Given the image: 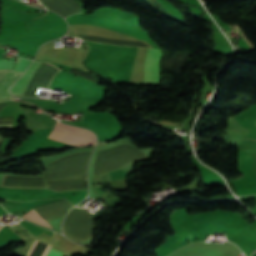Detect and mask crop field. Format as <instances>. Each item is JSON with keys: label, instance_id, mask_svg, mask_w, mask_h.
Segmentation results:
<instances>
[{"label": "crop field", "instance_id": "crop-field-1", "mask_svg": "<svg viewBox=\"0 0 256 256\" xmlns=\"http://www.w3.org/2000/svg\"><path fill=\"white\" fill-rule=\"evenodd\" d=\"M91 153L71 154L46 165L45 180L86 178V167Z\"/></svg>", "mask_w": 256, "mask_h": 256}, {"label": "crop field", "instance_id": "crop-field-2", "mask_svg": "<svg viewBox=\"0 0 256 256\" xmlns=\"http://www.w3.org/2000/svg\"><path fill=\"white\" fill-rule=\"evenodd\" d=\"M137 149V148H136ZM134 148L120 145L107 150L100 151L95 160L94 176L115 171L127 163L144 157L146 154Z\"/></svg>", "mask_w": 256, "mask_h": 256}, {"label": "crop field", "instance_id": "crop-field-3", "mask_svg": "<svg viewBox=\"0 0 256 256\" xmlns=\"http://www.w3.org/2000/svg\"><path fill=\"white\" fill-rule=\"evenodd\" d=\"M45 142L62 147L94 144V135L84 129L57 123Z\"/></svg>", "mask_w": 256, "mask_h": 256}, {"label": "crop field", "instance_id": "crop-field-4", "mask_svg": "<svg viewBox=\"0 0 256 256\" xmlns=\"http://www.w3.org/2000/svg\"><path fill=\"white\" fill-rule=\"evenodd\" d=\"M47 186L57 191L84 188V179L46 182ZM1 186L8 187H46L43 177L5 175Z\"/></svg>", "mask_w": 256, "mask_h": 256}, {"label": "crop field", "instance_id": "crop-field-5", "mask_svg": "<svg viewBox=\"0 0 256 256\" xmlns=\"http://www.w3.org/2000/svg\"><path fill=\"white\" fill-rule=\"evenodd\" d=\"M93 227V216L79 208L73 209L63 225L67 234L80 239L89 238Z\"/></svg>", "mask_w": 256, "mask_h": 256}, {"label": "crop field", "instance_id": "crop-field-6", "mask_svg": "<svg viewBox=\"0 0 256 256\" xmlns=\"http://www.w3.org/2000/svg\"><path fill=\"white\" fill-rule=\"evenodd\" d=\"M73 205L68 202L66 199L60 200L57 202H53L50 204H46L43 206L35 207L34 210L45 220L54 218L57 216H61L66 214V212L72 207ZM68 213V212H67Z\"/></svg>", "mask_w": 256, "mask_h": 256}, {"label": "crop field", "instance_id": "crop-field-7", "mask_svg": "<svg viewBox=\"0 0 256 256\" xmlns=\"http://www.w3.org/2000/svg\"><path fill=\"white\" fill-rule=\"evenodd\" d=\"M161 51L159 49L150 48L147 64V81L158 82L160 79L159 57Z\"/></svg>", "mask_w": 256, "mask_h": 256}, {"label": "crop field", "instance_id": "crop-field-8", "mask_svg": "<svg viewBox=\"0 0 256 256\" xmlns=\"http://www.w3.org/2000/svg\"><path fill=\"white\" fill-rule=\"evenodd\" d=\"M42 61L35 60L30 67L27 69V71L20 77V79L15 83V85L11 88V93L13 95H22L27 83L35 73V71L38 69V67L41 65Z\"/></svg>", "mask_w": 256, "mask_h": 256}, {"label": "crop field", "instance_id": "crop-field-9", "mask_svg": "<svg viewBox=\"0 0 256 256\" xmlns=\"http://www.w3.org/2000/svg\"><path fill=\"white\" fill-rule=\"evenodd\" d=\"M6 70H0V78L2 75L5 73ZM21 73L13 72V71H8L4 74V76L0 80V100H5V99H11L13 98L9 93H8V88L10 85L16 80V78L20 75Z\"/></svg>", "mask_w": 256, "mask_h": 256}, {"label": "crop field", "instance_id": "crop-field-10", "mask_svg": "<svg viewBox=\"0 0 256 256\" xmlns=\"http://www.w3.org/2000/svg\"><path fill=\"white\" fill-rule=\"evenodd\" d=\"M33 210V209H32ZM32 210L28 211L25 215H23V217L30 219L32 221H35L37 223H40L44 226L53 228L51 225H49L46 221H44L39 215H37L36 213H34Z\"/></svg>", "mask_w": 256, "mask_h": 256}, {"label": "crop field", "instance_id": "crop-field-11", "mask_svg": "<svg viewBox=\"0 0 256 256\" xmlns=\"http://www.w3.org/2000/svg\"><path fill=\"white\" fill-rule=\"evenodd\" d=\"M62 253L54 250L51 248V250L49 251V253L47 254V256H61Z\"/></svg>", "mask_w": 256, "mask_h": 256}, {"label": "crop field", "instance_id": "crop-field-12", "mask_svg": "<svg viewBox=\"0 0 256 256\" xmlns=\"http://www.w3.org/2000/svg\"><path fill=\"white\" fill-rule=\"evenodd\" d=\"M0 128H12V124L0 125Z\"/></svg>", "mask_w": 256, "mask_h": 256}, {"label": "crop field", "instance_id": "crop-field-13", "mask_svg": "<svg viewBox=\"0 0 256 256\" xmlns=\"http://www.w3.org/2000/svg\"><path fill=\"white\" fill-rule=\"evenodd\" d=\"M181 248H187V247H181ZM202 248H210V247H202ZM210 249H215V248H210ZM215 250L223 251V250H221V249H215Z\"/></svg>", "mask_w": 256, "mask_h": 256}, {"label": "crop field", "instance_id": "crop-field-14", "mask_svg": "<svg viewBox=\"0 0 256 256\" xmlns=\"http://www.w3.org/2000/svg\"><path fill=\"white\" fill-rule=\"evenodd\" d=\"M84 116H85V115H84ZM84 116H82V118H83ZM82 118H81V119H82Z\"/></svg>", "mask_w": 256, "mask_h": 256}, {"label": "crop field", "instance_id": "crop-field-15", "mask_svg": "<svg viewBox=\"0 0 256 256\" xmlns=\"http://www.w3.org/2000/svg\"><path fill=\"white\" fill-rule=\"evenodd\" d=\"M1 227V226H0Z\"/></svg>", "mask_w": 256, "mask_h": 256}]
</instances>
